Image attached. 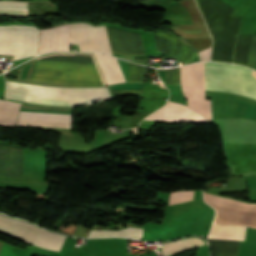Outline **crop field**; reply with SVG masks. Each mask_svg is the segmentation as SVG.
<instances>
[{
  "mask_svg": "<svg viewBox=\"0 0 256 256\" xmlns=\"http://www.w3.org/2000/svg\"><path fill=\"white\" fill-rule=\"evenodd\" d=\"M31 79L105 85L93 56L50 55L37 58Z\"/></svg>",
  "mask_w": 256,
  "mask_h": 256,
  "instance_id": "8a807250",
  "label": "crop field"
},
{
  "mask_svg": "<svg viewBox=\"0 0 256 256\" xmlns=\"http://www.w3.org/2000/svg\"><path fill=\"white\" fill-rule=\"evenodd\" d=\"M6 98L61 105H81L112 99L107 87L65 88L6 81Z\"/></svg>",
  "mask_w": 256,
  "mask_h": 256,
  "instance_id": "ac0d7876",
  "label": "crop field"
},
{
  "mask_svg": "<svg viewBox=\"0 0 256 256\" xmlns=\"http://www.w3.org/2000/svg\"><path fill=\"white\" fill-rule=\"evenodd\" d=\"M205 89L227 91L256 99V73L243 67L204 62Z\"/></svg>",
  "mask_w": 256,
  "mask_h": 256,
  "instance_id": "34b2d1b8",
  "label": "crop field"
},
{
  "mask_svg": "<svg viewBox=\"0 0 256 256\" xmlns=\"http://www.w3.org/2000/svg\"><path fill=\"white\" fill-rule=\"evenodd\" d=\"M182 92L188 100L189 107L212 119L210 100H205L203 62L180 67ZM179 68L165 70L166 82L181 84Z\"/></svg>",
  "mask_w": 256,
  "mask_h": 256,
  "instance_id": "412701ff",
  "label": "crop field"
},
{
  "mask_svg": "<svg viewBox=\"0 0 256 256\" xmlns=\"http://www.w3.org/2000/svg\"><path fill=\"white\" fill-rule=\"evenodd\" d=\"M38 29L33 26H0V54L14 55V59L35 55Z\"/></svg>",
  "mask_w": 256,
  "mask_h": 256,
  "instance_id": "f4fd0767",
  "label": "crop field"
},
{
  "mask_svg": "<svg viewBox=\"0 0 256 256\" xmlns=\"http://www.w3.org/2000/svg\"><path fill=\"white\" fill-rule=\"evenodd\" d=\"M204 201L216 210L214 223L256 228V204H247L204 192Z\"/></svg>",
  "mask_w": 256,
  "mask_h": 256,
  "instance_id": "dd49c442",
  "label": "crop field"
},
{
  "mask_svg": "<svg viewBox=\"0 0 256 256\" xmlns=\"http://www.w3.org/2000/svg\"><path fill=\"white\" fill-rule=\"evenodd\" d=\"M32 225L25 221L0 215V232L30 244L60 250L65 237L43 231Z\"/></svg>",
  "mask_w": 256,
  "mask_h": 256,
  "instance_id": "e52e79f7",
  "label": "crop field"
},
{
  "mask_svg": "<svg viewBox=\"0 0 256 256\" xmlns=\"http://www.w3.org/2000/svg\"><path fill=\"white\" fill-rule=\"evenodd\" d=\"M71 44H79V51L111 54L104 27H93L86 23L71 24Z\"/></svg>",
  "mask_w": 256,
  "mask_h": 256,
  "instance_id": "d8731c3e",
  "label": "crop field"
},
{
  "mask_svg": "<svg viewBox=\"0 0 256 256\" xmlns=\"http://www.w3.org/2000/svg\"><path fill=\"white\" fill-rule=\"evenodd\" d=\"M70 24L40 30L39 53L47 51H69Z\"/></svg>",
  "mask_w": 256,
  "mask_h": 256,
  "instance_id": "5a996713",
  "label": "crop field"
},
{
  "mask_svg": "<svg viewBox=\"0 0 256 256\" xmlns=\"http://www.w3.org/2000/svg\"><path fill=\"white\" fill-rule=\"evenodd\" d=\"M106 28L113 52L129 55L145 54L141 36L139 34L119 29Z\"/></svg>",
  "mask_w": 256,
  "mask_h": 256,
  "instance_id": "3316defc",
  "label": "crop field"
},
{
  "mask_svg": "<svg viewBox=\"0 0 256 256\" xmlns=\"http://www.w3.org/2000/svg\"><path fill=\"white\" fill-rule=\"evenodd\" d=\"M155 36L157 50L167 52L176 59L187 63L197 55L196 50L189 48L183 41L164 31H155Z\"/></svg>",
  "mask_w": 256,
  "mask_h": 256,
  "instance_id": "28ad6ade",
  "label": "crop field"
},
{
  "mask_svg": "<svg viewBox=\"0 0 256 256\" xmlns=\"http://www.w3.org/2000/svg\"><path fill=\"white\" fill-rule=\"evenodd\" d=\"M145 119L163 121L208 122L202 115L178 103L167 102L159 111Z\"/></svg>",
  "mask_w": 256,
  "mask_h": 256,
  "instance_id": "d1516ede",
  "label": "crop field"
},
{
  "mask_svg": "<svg viewBox=\"0 0 256 256\" xmlns=\"http://www.w3.org/2000/svg\"><path fill=\"white\" fill-rule=\"evenodd\" d=\"M71 115L20 111L17 124L70 128Z\"/></svg>",
  "mask_w": 256,
  "mask_h": 256,
  "instance_id": "22f410ed",
  "label": "crop field"
},
{
  "mask_svg": "<svg viewBox=\"0 0 256 256\" xmlns=\"http://www.w3.org/2000/svg\"><path fill=\"white\" fill-rule=\"evenodd\" d=\"M104 76L106 84L125 82L115 58L106 55L94 54Z\"/></svg>",
  "mask_w": 256,
  "mask_h": 256,
  "instance_id": "cbeb9de0",
  "label": "crop field"
},
{
  "mask_svg": "<svg viewBox=\"0 0 256 256\" xmlns=\"http://www.w3.org/2000/svg\"><path fill=\"white\" fill-rule=\"evenodd\" d=\"M246 227L213 224L209 238L244 241Z\"/></svg>",
  "mask_w": 256,
  "mask_h": 256,
  "instance_id": "5142ce71",
  "label": "crop field"
},
{
  "mask_svg": "<svg viewBox=\"0 0 256 256\" xmlns=\"http://www.w3.org/2000/svg\"><path fill=\"white\" fill-rule=\"evenodd\" d=\"M20 104L0 100V124L14 125Z\"/></svg>",
  "mask_w": 256,
  "mask_h": 256,
  "instance_id": "d9b57169",
  "label": "crop field"
},
{
  "mask_svg": "<svg viewBox=\"0 0 256 256\" xmlns=\"http://www.w3.org/2000/svg\"><path fill=\"white\" fill-rule=\"evenodd\" d=\"M103 236H119L132 239H141L143 236V230L128 227L122 231H108V230H98L92 231L88 237H103Z\"/></svg>",
  "mask_w": 256,
  "mask_h": 256,
  "instance_id": "733c2abd",
  "label": "crop field"
},
{
  "mask_svg": "<svg viewBox=\"0 0 256 256\" xmlns=\"http://www.w3.org/2000/svg\"><path fill=\"white\" fill-rule=\"evenodd\" d=\"M205 244L202 240L198 238H190L178 242H172V243H166L164 244L162 250L164 252V255H170L174 254L178 251L185 250L189 247H196L199 245Z\"/></svg>",
  "mask_w": 256,
  "mask_h": 256,
  "instance_id": "4a817a6b",
  "label": "crop field"
},
{
  "mask_svg": "<svg viewBox=\"0 0 256 256\" xmlns=\"http://www.w3.org/2000/svg\"><path fill=\"white\" fill-rule=\"evenodd\" d=\"M3 7H25V2L0 0ZM0 7V15H26L25 8H3Z\"/></svg>",
  "mask_w": 256,
  "mask_h": 256,
  "instance_id": "bc2a9ffb",
  "label": "crop field"
},
{
  "mask_svg": "<svg viewBox=\"0 0 256 256\" xmlns=\"http://www.w3.org/2000/svg\"><path fill=\"white\" fill-rule=\"evenodd\" d=\"M180 3L188 11L193 23H204L193 0H183Z\"/></svg>",
  "mask_w": 256,
  "mask_h": 256,
  "instance_id": "214f88e0",
  "label": "crop field"
},
{
  "mask_svg": "<svg viewBox=\"0 0 256 256\" xmlns=\"http://www.w3.org/2000/svg\"><path fill=\"white\" fill-rule=\"evenodd\" d=\"M188 43H190L199 53L200 51L211 46V38L207 39H186Z\"/></svg>",
  "mask_w": 256,
  "mask_h": 256,
  "instance_id": "92a150f3",
  "label": "crop field"
},
{
  "mask_svg": "<svg viewBox=\"0 0 256 256\" xmlns=\"http://www.w3.org/2000/svg\"><path fill=\"white\" fill-rule=\"evenodd\" d=\"M255 60H256V35H254L252 38L250 51H249V57H248V67L254 69Z\"/></svg>",
  "mask_w": 256,
  "mask_h": 256,
  "instance_id": "dafd665d",
  "label": "crop field"
},
{
  "mask_svg": "<svg viewBox=\"0 0 256 256\" xmlns=\"http://www.w3.org/2000/svg\"><path fill=\"white\" fill-rule=\"evenodd\" d=\"M109 87V86H108ZM110 89V87H109ZM142 90H120V91H111V94L113 95H120V94H142L141 93Z\"/></svg>",
  "mask_w": 256,
  "mask_h": 256,
  "instance_id": "00972430",
  "label": "crop field"
},
{
  "mask_svg": "<svg viewBox=\"0 0 256 256\" xmlns=\"http://www.w3.org/2000/svg\"><path fill=\"white\" fill-rule=\"evenodd\" d=\"M149 113H136L135 114V117H134V120H133V123L132 125L130 126L131 127H135L137 126V124Z\"/></svg>",
  "mask_w": 256,
  "mask_h": 256,
  "instance_id": "a9b5d70f",
  "label": "crop field"
},
{
  "mask_svg": "<svg viewBox=\"0 0 256 256\" xmlns=\"http://www.w3.org/2000/svg\"><path fill=\"white\" fill-rule=\"evenodd\" d=\"M210 50H211V48L200 52L201 60H209Z\"/></svg>",
  "mask_w": 256,
  "mask_h": 256,
  "instance_id": "4177f3b9",
  "label": "crop field"
}]
</instances>
